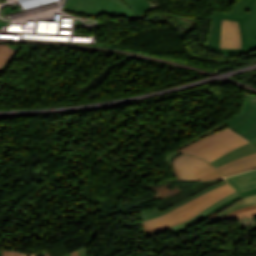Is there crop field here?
<instances>
[{
	"mask_svg": "<svg viewBox=\"0 0 256 256\" xmlns=\"http://www.w3.org/2000/svg\"><path fill=\"white\" fill-rule=\"evenodd\" d=\"M207 38L208 48L227 57L256 51V0H240L229 14L215 13ZM222 19L238 21L242 34V49H219Z\"/></svg>",
	"mask_w": 256,
	"mask_h": 256,
	"instance_id": "8a807250",
	"label": "crop field"
},
{
	"mask_svg": "<svg viewBox=\"0 0 256 256\" xmlns=\"http://www.w3.org/2000/svg\"><path fill=\"white\" fill-rule=\"evenodd\" d=\"M147 0H66L63 9L90 16L103 12L108 15L125 16L129 20L143 19L145 12L152 9Z\"/></svg>",
	"mask_w": 256,
	"mask_h": 256,
	"instance_id": "ac0d7876",
	"label": "crop field"
},
{
	"mask_svg": "<svg viewBox=\"0 0 256 256\" xmlns=\"http://www.w3.org/2000/svg\"><path fill=\"white\" fill-rule=\"evenodd\" d=\"M232 192L235 191L228 184L220 186L183 204L165 215L143 222L144 232L147 234L189 220Z\"/></svg>",
	"mask_w": 256,
	"mask_h": 256,
	"instance_id": "34b2d1b8",
	"label": "crop field"
},
{
	"mask_svg": "<svg viewBox=\"0 0 256 256\" xmlns=\"http://www.w3.org/2000/svg\"><path fill=\"white\" fill-rule=\"evenodd\" d=\"M246 142L248 140L226 127L177 151L200 156L211 162Z\"/></svg>",
	"mask_w": 256,
	"mask_h": 256,
	"instance_id": "412701ff",
	"label": "crop field"
},
{
	"mask_svg": "<svg viewBox=\"0 0 256 256\" xmlns=\"http://www.w3.org/2000/svg\"><path fill=\"white\" fill-rule=\"evenodd\" d=\"M172 167L178 179L213 180L221 178L218 170L203 159L181 154L173 159Z\"/></svg>",
	"mask_w": 256,
	"mask_h": 256,
	"instance_id": "f4fd0767",
	"label": "crop field"
},
{
	"mask_svg": "<svg viewBox=\"0 0 256 256\" xmlns=\"http://www.w3.org/2000/svg\"><path fill=\"white\" fill-rule=\"evenodd\" d=\"M248 97L246 96L243 109L234 117L222 123L250 140L256 137V106L247 101Z\"/></svg>",
	"mask_w": 256,
	"mask_h": 256,
	"instance_id": "dd49c442",
	"label": "crop field"
},
{
	"mask_svg": "<svg viewBox=\"0 0 256 256\" xmlns=\"http://www.w3.org/2000/svg\"><path fill=\"white\" fill-rule=\"evenodd\" d=\"M220 48H241L238 23L223 20Z\"/></svg>",
	"mask_w": 256,
	"mask_h": 256,
	"instance_id": "e52e79f7",
	"label": "crop field"
},
{
	"mask_svg": "<svg viewBox=\"0 0 256 256\" xmlns=\"http://www.w3.org/2000/svg\"><path fill=\"white\" fill-rule=\"evenodd\" d=\"M256 168V153L229 162L221 167L219 171L224 177Z\"/></svg>",
	"mask_w": 256,
	"mask_h": 256,
	"instance_id": "d8731c3e",
	"label": "crop field"
},
{
	"mask_svg": "<svg viewBox=\"0 0 256 256\" xmlns=\"http://www.w3.org/2000/svg\"><path fill=\"white\" fill-rule=\"evenodd\" d=\"M226 180L236 189L238 193L243 190L255 188L256 170L228 177Z\"/></svg>",
	"mask_w": 256,
	"mask_h": 256,
	"instance_id": "5a996713",
	"label": "crop field"
},
{
	"mask_svg": "<svg viewBox=\"0 0 256 256\" xmlns=\"http://www.w3.org/2000/svg\"><path fill=\"white\" fill-rule=\"evenodd\" d=\"M224 183H226V181H221L219 183H216V184H214V185H212V186L202 190L201 192H199V193H197V194H195L193 196H190V197H188V198H186V199L176 203L175 205L171 206L170 208H168V209H166V210H164L162 212L159 211L157 208L139 211L140 218H141L142 221L153 219V218H155L157 216H160V215H162V214H164V213H166V212H168V211H170V210H172V209L182 205L183 203H185V202H187V201H189V200H191V199H193V198H195V197H197V196H199V195H201V194H203V193H205L207 191H210V190H212V189H214V188H216V187H218V186H220V185H222Z\"/></svg>",
	"mask_w": 256,
	"mask_h": 256,
	"instance_id": "3316defc",
	"label": "crop field"
},
{
	"mask_svg": "<svg viewBox=\"0 0 256 256\" xmlns=\"http://www.w3.org/2000/svg\"><path fill=\"white\" fill-rule=\"evenodd\" d=\"M256 152V146H254L252 143H247L239 148H236L226 154H224L223 156H221L220 158L216 159L215 161L211 162L213 165H215L216 167L221 166L229 161L235 160L237 158H240L242 156L251 154Z\"/></svg>",
	"mask_w": 256,
	"mask_h": 256,
	"instance_id": "28ad6ade",
	"label": "crop field"
},
{
	"mask_svg": "<svg viewBox=\"0 0 256 256\" xmlns=\"http://www.w3.org/2000/svg\"><path fill=\"white\" fill-rule=\"evenodd\" d=\"M252 204H256V195L245 197L244 199L226 207L225 209L221 210L220 212H218L217 214H215L214 216L209 218L204 223H211L212 221L220 218L221 216L225 215L226 213H228L234 209L242 208V207L252 205Z\"/></svg>",
	"mask_w": 256,
	"mask_h": 256,
	"instance_id": "d1516ede",
	"label": "crop field"
},
{
	"mask_svg": "<svg viewBox=\"0 0 256 256\" xmlns=\"http://www.w3.org/2000/svg\"><path fill=\"white\" fill-rule=\"evenodd\" d=\"M239 195L237 192L235 193H232L226 197H224L223 199H221L220 201H218L217 203L213 204L212 206H210L209 208H207L206 210H204L202 213H200L199 215H197L195 218L189 220V221H186L184 223H181L179 225H176V226H173V227H170V228H167V229H163V230H160V231H157V232H154V233H150V234H147L145 237H148V236H152V235H155V234H159V233H162V232H165V231H169V230H172V229H177V228H181V227H184V226H187V225H190L192 224L194 221L198 220L199 218H201L205 213H207L208 211H210L211 209L215 208L216 206H218L219 204H221L222 202L230 199V198H233L235 196Z\"/></svg>",
	"mask_w": 256,
	"mask_h": 256,
	"instance_id": "22f410ed",
	"label": "crop field"
},
{
	"mask_svg": "<svg viewBox=\"0 0 256 256\" xmlns=\"http://www.w3.org/2000/svg\"><path fill=\"white\" fill-rule=\"evenodd\" d=\"M242 197L239 195L236 198L230 199L224 203H222L221 205H219L218 207H216L215 209L211 210L210 212H208L207 214H205L200 220H198L197 222L193 223L190 226L181 228V229H177V230H172L171 232H173L175 235H180L181 233L185 232L186 230H188L189 228L197 225L200 222L206 221L209 217H211L212 215H214L215 213H217L218 211H220L221 209H223L224 207L228 206L229 204L241 199Z\"/></svg>",
	"mask_w": 256,
	"mask_h": 256,
	"instance_id": "cbeb9de0",
	"label": "crop field"
},
{
	"mask_svg": "<svg viewBox=\"0 0 256 256\" xmlns=\"http://www.w3.org/2000/svg\"><path fill=\"white\" fill-rule=\"evenodd\" d=\"M14 50L8 48L5 45H0V69L13 54Z\"/></svg>",
	"mask_w": 256,
	"mask_h": 256,
	"instance_id": "5142ce71",
	"label": "crop field"
},
{
	"mask_svg": "<svg viewBox=\"0 0 256 256\" xmlns=\"http://www.w3.org/2000/svg\"><path fill=\"white\" fill-rule=\"evenodd\" d=\"M246 217H256V209L237 213V214L232 215V216H230V217H228V218H226V219H224L222 221L231 220V219H237V218H246Z\"/></svg>",
	"mask_w": 256,
	"mask_h": 256,
	"instance_id": "d9b57169",
	"label": "crop field"
},
{
	"mask_svg": "<svg viewBox=\"0 0 256 256\" xmlns=\"http://www.w3.org/2000/svg\"><path fill=\"white\" fill-rule=\"evenodd\" d=\"M9 47H11V48H13V49H15L16 51L14 52V54L10 57V59L6 62V64L2 67V69L0 70V72H4L5 71V69L8 67V65H9V63H10V61L13 59V57L16 55V53L22 48V47H20V46H9ZM12 62V61H11Z\"/></svg>",
	"mask_w": 256,
	"mask_h": 256,
	"instance_id": "733c2abd",
	"label": "crop field"
},
{
	"mask_svg": "<svg viewBox=\"0 0 256 256\" xmlns=\"http://www.w3.org/2000/svg\"><path fill=\"white\" fill-rule=\"evenodd\" d=\"M26 253L17 252V251H2V256H24ZM33 253L32 255H34Z\"/></svg>",
	"mask_w": 256,
	"mask_h": 256,
	"instance_id": "4a817a6b",
	"label": "crop field"
},
{
	"mask_svg": "<svg viewBox=\"0 0 256 256\" xmlns=\"http://www.w3.org/2000/svg\"><path fill=\"white\" fill-rule=\"evenodd\" d=\"M253 208H256V205H253V206H249V207H245V208H242V209L235 210V211H233V212H231V213H229V214H227V215L221 217L220 219L216 220L215 222H218L219 220H222V219H224V218H226V217H228V216H230V215H232V214H235V213H237V212H240V211H243V210H248V209H253ZM212 223H213V222H212Z\"/></svg>",
	"mask_w": 256,
	"mask_h": 256,
	"instance_id": "bc2a9ffb",
	"label": "crop field"
},
{
	"mask_svg": "<svg viewBox=\"0 0 256 256\" xmlns=\"http://www.w3.org/2000/svg\"><path fill=\"white\" fill-rule=\"evenodd\" d=\"M243 197L244 196H247V195H252V194H256V188L255 189H251V190H247V191H244L242 193H240Z\"/></svg>",
	"mask_w": 256,
	"mask_h": 256,
	"instance_id": "214f88e0",
	"label": "crop field"
},
{
	"mask_svg": "<svg viewBox=\"0 0 256 256\" xmlns=\"http://www.w3.org/2000/svg\"><path fill=\"white\" fill-rule=\"evenodd\" d=\"M78 252H79L80 256H87V252H86L85 246L80 248V249H78Z\"/></svg>",
	"mask_w": 256,
	"mask_h": 256,
	"instance_id": "92a150f3",
	"label": "crop field"
},
{
	"mask_svg": "<svg viewBox=\"0 0 256 256\" xmlns=\"http://www.w3.org/2000/svg\"><path fill=\"white\" fill-rule=\"evenodd\" d=\"M248 101H250L256 105V96H250Z\"/></svg>",
	"mask_w": 256,
	"mask_h": 256,
	"instance_id": "dafd665d",
	"label": "crop field"
},
{
	"mask_svg": "<svg viewBox=\"0 0 256 256\" xmlns=\"http://www.w3.org/2000/svg\"><path fill=\"white\" fill-rule=\"evenodd\" d=\"M72 256H79L77 250L71 253Z\"/></svg>",
	"mask_w": 256,
	"mask_h": 256,
	"instance_id": "00972430",
	"label": "crop field"
},
{
	"mask_svg": "<svg viewBox=\"0 0 256 256\" xmlns=\"http://www.w3.org/2000/svg\"><path fill=\"white\" fill-rule=\"evenodd\" d=\"M250 142H252L254 145H256V138L250 140Z\"/></svg>",
	"mask_w": 256,
	"mask_h": 256,
	"instance_id": "a9b5d70f",
	"label": "crop field"
},
{
	"mask_svg": "<svg viewBox=\"0 0 256 256\" xmlns=\"http://www.w3.org/2000/svg\"><path fill=\"white\" fill-rule=\"evenodd\" d=\"M44 256H49L48 254H45Z\"/></svg>",
	"mask_w": 256,
	"mask_h": 256,
	"instance_id": "4177f3b9",
	"label": "crop field"
},
{
	"mask_svg": "<svg viewBox=\"0 0 256 256\" xmlns=\"http://www.w3.org/2000/svg\"><path fill=\"white\" fill-rule=\"evenodd\" d=\"M0 256H1V252H0Z\"/></svg>",
	"mask_w": 256,
	"mask_h": 256,
	"instance_id": "730fd06b",
	"label": "crop field"
},
{
	"mask_svg": "<svg viewBox=\"0 0 256 256\" xmlns=\"http://www.w3.org/2000/svg\"><path fill=\"white\" fill-rule=\"evenodd\" d=\"M67 256H70V255H67Z\"/></svg>",
	"mask_w": 256,
	"mask_h": 256,
	"instance_id": "eef30255",
	"label": "crop field"
}]
</instances>
